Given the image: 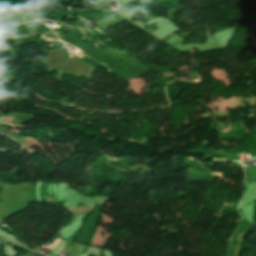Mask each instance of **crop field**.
Returning <instances> with one entry per match:
<instances>
[{
	"instance_id": "crop-field-1",
	"label": "crop field",
	"mask_w": 256,
	"mask_h": 256,
	"mask_svg": "<svg viewBox=\"0 0 256 256\" xmlns=\"http://www.w3.org/2000/svg\"><path fill=\"white\" fill-rule=\"evenodd\" d=\"M135 5H137L135 2H130L127 5L121 7L119 10L123 13L129 10L130 8L134 7ZM135 7L138 8L148 19H150L149 15L146 13V11L143 8H141L139 5Z\"/></svg>"
},
{
	"instance_id": "crop-field-3",
	"label": "crop field",
	"mask_w": 256,
	"mask_h": 256,
	"mask_svg": "<svg viewBox=\"0 0 256 256\" xmlns=\"http://www.w3.org/2000/svg\"><path fill=\"white\" fill-rule=\"evenodd\" d=\"M85 246L84 245H81L79 251L77 254H82L83 253V250H84Z\"/></svg>"
},
{
	"instance_id": "crop-field-4",
	"label": "crop field",
	"mask_w": 256,
	"mask_h": 256,
	"mask_svg": "<svg viewBox=\"0 0 256 256\" xmlns=\"http://www.w3.org/2000/svg\"><path fill=\"white\" fill-rule=\"evenodd\" d=\"M112 12H113V11H112ZM113 13H114V12H113ZM115 14H116V13H115ZM117 15H118V14H117ZM119 15H121V14H119ZM119 15H118V16H119ZM121 16H122V15H121ZM121 16H120V17H121ZM122 18H123V17H122Z\"/></svg>"
},
{
	"instance_id": "crop-field-2",
	"label": "crop field",
	"mask_w": 256,
	"mask_h": 256,
	"mask_svg": "<svg viewBox=\"0 0 256 256\" xmlns=\"http://www.w3.org/2000/svg\"><path fill=\"white\" fill-rule=\"evenodd\" d=\"M60 241H61V239L56 238L55 241L53 242V244L49 247L50 250L53 249Z\"/></svg>"
}]
</instances>
